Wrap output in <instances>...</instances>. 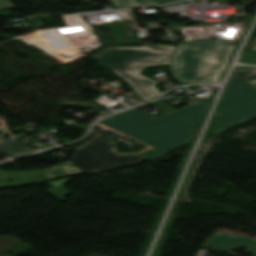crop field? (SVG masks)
<instances>
[{"instance_id":"8a807250","label":"crop field","mask_w":256,"mask_h":256,"mask_svg":"<svg viewBox=\"0 0 256 256\" xmlns=\"http://www.w3.org/2000/svg\"><path fill=\"white\" fill-rule=\"evenodd\" d=\"M208 107L207 103L201 102L181 112L156 118L134 109L113 116L101 124L157 149L143 156L152 159L184 145L193 126L203 119Z\"/></svg>"},{"instance_id":"ac0d7876","label":"crop field","mask_w":256,"mask_h":256,"mask_svg":"<svg viewBox=\"0 0 256 256\" xmlns=\"http://www.w3.org/2000/svg\"><path fill=\"white\" fill-rule=\"evenodd\" d=\"M234 46L220 40L179 43L172 54L170 74L181 84L217 81Z\"/></svg>"},{"instance_id":"34b2d1b8","label":"crop field","mask_w":256,"mask_h":256,"mask_svg":"<svg viewBox=\"0 0 256 256\" xmlns=\"http://www.w3.org/2000/svg\"><path fill=\"white\" fill-rule=\"evenodd\" d=\"M174 47L142 46L140 48H108L95 56L104 66L111 68L127 81L145 101L156 96V83L139 73L149 65L167 64ZM155 58V60H153ZM166 59L165 61H160Z\"/></svg>"},{"instance_id":"412701ff","label":"crop field","mask_w":256,"mask_h":256,"mask_svg":"<svg viewBox=\"0 0 256 256\" xmlns=\"http://www.w3.org/2000/svg\"><path fill=\"white\" fill-rule=\"evenodd\" d=\"M114 144L115 142L108 138L95 135L81 147L75 149L73 160L70 163L84 173H91L145 161L135 152L117 153Z\"/></svg>"},{"instance_id":"f4fd0767","label":"crop field","mask_w":256,"mask_h":256,"mask_svg":"<svg viewBox=\"0 0 256 256\" xmlns=\"http://www.w3.org/2000/svg\"><path fill=\"white\" fill-rule=\"evenodd\" d=\"M256 101V88L236 79H230L228 88L214 117H220Z\"/></svg>"},{"instance_id":"dd49c442","label":"crop field","mask_w":256,"mask_h":256,"mask_svg":"<svg viewBox=\"0 0 256 256\" xmlns=\"http://www.w3.org/2000/svg\"><path fill=\"white\" fill-rule=\"evenodd\" d=\"M204 246L222 252L245 246L248 247L247 252L256 254V240L218 232H215Z\"/></svg>"},{"instance_id":"e52e79f7","label":"crop field","mask_w":256,"mask_h":256,"mask_svg":"<svg viewBox=\"0 0 256 256\" xmlns=\"http://www.w3.org/2000/svg\"><path fill=\"white\" fill-rule=\"evenodd\" d=\"M255 116H256V103L248 107H245L241 110H238L236 112H233L221 119L216 120V123L218 124L216 133L237 122H240L244 119L255 117Z\"/></svg>"},{"instance_id":"d8731c3e","label":"crop field","mask_w":256,"mask_h":256,"mask_svg":"<svg viewBox=\"0 0 256 256\" xmlns=\"http://www.w3.org/2000/svg\"><path fill=\"white\" fill-rule=\"evenodd\" d=\"M31 150L35 149L14 142L12 140L6 139L4 137L0 139V153L5 154L9 157L16 156Z\"/></svg>"},{"instance_id":"5a996713","label":"crop field","mask_w":256,"mask_h":256,"mask_svg":"<svg viewBox=\"0 0 256 256\" xmlns=\"http://www.w3.org/2000/svg\"><path fill=\"white\" fill-rule=\"evenodd\" d=\"M118 8L129 6L151 5L157 3L171 2L175 0H110Z\"/></svg>"},{"instance_id":"3316defc","label":"crop field","mask_w":256,"mask_h":256,"mask_svg":"<svg viewBox=\"0 0 256 256\" xmlns=\"http://www.w3.org/2000/svg\"><path fill=\"white\" fill-rule=\"evenodd\" d=\"M15 8L9 0H0V9H12Z\"/></svg>"},{"instance_id":"28ad6ade","label":"crop field","mask_w":256,"mask_h":256,"mask_svg":"<svg viewBox=\"0 0 256 256\" xmlns=\"http://www.w3.org/2000/svg\"><path fill=\"white\" fill-rule=\"evenodd\" d=\"M89 256H107V255H101V254L92 253V254L89 255Z\"/></svg>"}]
</instances>
